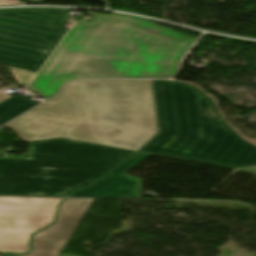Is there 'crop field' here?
I'll return each instance as SVG.
<instances>
[{"instance_id": "d8731c3e", "label": "crop field", "mask_w": 256, "mask_h": 256, "mask_svg": "<svg viewBox=\"0 0 256 256\" xmlns=\"http://www.w3.org/2000/svg\"><path fill=\"white\" fill-rule=\"evenodd\" d=\"M149 156L150 154L138 152L91 187L76 191L69 196L139 198L140 180L127 177L123 173Z\"/></svg>"}, {"instance_id": "3316defc", "label": "crop field", "mask_w": 256, "mask_h": 256, "mask_svg": "<svg viewBox=\"0 0 256 256\" xmlns=\"http://www.w3.org/2000/svg\"><path fill=\"white\" fill-rule=\"evenodd\" d=\"M39 104L23 96H13L0 103V125Z\"/></svg>"}, {"instance_id": "28ad6ade", "label": "crop field", "mask_w": 256, "mask_h": 256, "mask_svg": "<svg viewBox=\"0 0 256 256\" xmlns=\"http://www.w3.org/2000/svg\"><path fill=\"white\" fill-rule=\"evenodd\" d=\"M27 251H21V250H1L0 253L6 256H15L19 254L26 253Z\"/></svg>"}, {"instance_id": "22f410ed", "label": "crop field", "mask_w": 256, "mask_h": 256, "mask_svg": "<svg viewBox=\"0 0 256 256\" xmlns=\"http://www.w3.org/2000/svg\"><path fill=\"white\" fill-rule=\"evenodd\" d=\"M11 96H8V95H4V94H0V102L6 100L7 98H9Z\"/></svg>"}, {"instance_id": "412701ff", "label": "crop field", "mask_w": 256, "mask_h": 256, "mask_svg": "<svg viewBox=\"0 0 256 256\" xmlns=\"http://www.w3.org/2000/svg\"><path fill=\"white\" fill-rule=\"evenodd\" d=\"M134 153L64 138L31 141L27 158L0 157V195L65 196Z\"/></svg>"}, {"instance_id": "5a996713", "label": "crop field", "mask_w": 256, "mask_h": 256, "mask_svg": "<svg viewBox=\"0 0 256 256\" xmlns=\"http://www.w3.org/2000/svg\"><path fill=\"white\" fill-rule=\"evenodd\" d=\"M125 26L133 29H137L149 34H153L188 47L191 44V42L194 40L192 38L164 29L162 27L156 26L154 24H151L149 22H146L140 19L131 18Z\"/></svg>"}, {"instance_id": "f4fd0767", "label": "crop field", "mask_w": 256, "mask_h": 256, "mask_svg": "<svg viewBox=\"0 0 256 256\" xmlns=\"http://www.w3.org/2000/svg\"><path fill=\"white\" fill-rule=\"evenodd\" d=\"M70 9L0 10V64L13 69L27 86L68 29Z\"/></svg>"}, {"instance_id": "cbeb9de0", "label": "crop field", "mask_w": 256, "mask_h": 256, "mask_svg": "<svg viewBox=\"0 0 256 256\" xmlns=\"http://www.w3.org/2000/svg\"><path fill=\"white\" fill-rule=\"evenodd\" d=\"M249 168L256 170V166H252V167H249Z\"/></svg>"}, {"instance_id": "ac0d7876", "label": "crop field", "mask_w": 256, "mask_h": 256, "mask_svg": "<svg viewBox=\"0 0 256 256\" xmlns=\"http://www.w3.org/2000/svg\"><path fill=\"white\" fill-rule=\"evenodd\" d=\"M29 87L51 99L63 83L82 78H170L188 47L125 27L119 14L85 11Z\"/></svg>"}, {"instance_id": "dd49c442", "label": "crop field", "mask_w": 256, "mask_h": 256, "mask_svg": "<svg viewBox=\"0 0 256 256\" xmlns=\"http://www.w3.org/2000/svg\"><path fill=\"white\" fill-rule=\"evenodd\" d=\"M62 199L0 197V248L30 250L32 234L53 222Z\"/></svg>"}, {"instance_id": "8a807250", "label": "crop field", "mask_w": 256, "mask_h": 256, "mask_svg": "<svg viewBox=\"0 0 256 256\" xmlns=\"http://www.w3.org/2000/svg\"><path fill=\"white\" fill-rule=\"evenodd\" d=\"M7 126L24 142L64 137L134 151L157 133L149 80L73 82Z\"/></svg>"}, {"instance_id": "e52e79f7", "label": "crop field", "mask_w": 256, "mask_h": 256, "mask_svg": "<svg viewBox=\"0 0 256 256\" xmlns=\"http://www.w3.org/2000/svg\"><path fill=\"white\" fill-rule=\"evenodd\" d=\"M94 199H65L55 225L35 234L33 251L24 256H60Z\"/></svg>"}, {"instance_id": "d1516ede", "label": "crop field", "mask_w": 256, "mask_h": 256, "mask_svg": "<svg viewBox=\"0 0 256 256\" xmlns=\"http://www.w3.org/2000/svg\"><path fill=\"white\" fill-rule=\"evenodd\" d=\"M19 4L16 0H0V6Z\"/></svg>"}, {"instance_id": "34b2d1b8", "label": "crop field", "mask_w": 256, "mask_h": 256, "mask_svg": "<svg viewBox=\"0 0 256 256\" xmlns=\"http://www.w3.org/2000/svg\"><path fill=\"white\" fill-rule=\"evenodd\" d=\"M160 133L141 151L231 166L256 165V146L220 116L214 101L183 82L153 81Z\"/></svg>"}]
</instances>
